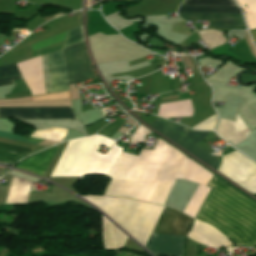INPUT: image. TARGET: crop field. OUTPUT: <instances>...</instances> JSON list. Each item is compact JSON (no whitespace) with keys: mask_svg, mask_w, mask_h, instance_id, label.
Returning <instances> with one entry per match:
<instances>
[{"mask_svg":"<svg viewBox=\"0 0 256 256\" xmlns=\"http://www.w3.org/2000/svg\"><path fill=\"white\" fill-rule=\"evenodd\" d=\"M208 186L212 189L196 219L215 227L235 246L256 245V204L214 176Z\"/></svg>","mask_w":256,"mask_h":256,"instance_id":"obj_1","label":"crop field"},{"mask_svg":"<svg viewBox=\"0 0 256 256\" xmlns=\"http://www.w3.org/2000/svg\"><path fill=\"white\" fill-rule=\"evenodd\" d=\"M188 160L158 138L154 151H140L126 180L147 181L137 199L150 202L159 181L184 178Z\"/></svg>","mask_w":256,"mask_h":256,"instance_id":"obj_2","label":"crop field"},{"mask_svg":"<svg viewBox=\"0 0 256 256\" xmlns=\"http://www.w3.org/2000/svg\"><path fill=\"white\" fill-rule=\"evenodd\" d=\"M113 142L102 136L69 141L51 177L83 176L87 173L106 174L123 149L115 142L104 155L95 150L102 145L108 148Z\"/></svg>","mask_w":256,"mask_h":256,"instance_id":"obj_3","label":"crop field"},{"mask_svg":"<svg viewBox=\"0 0 256 256\" xmlns=\"http://www.w3.org/2000/svg\"><path fill=\"white\" fill-rule=\"evenodd\" d=\"M108 214L119 226L145 245L163 207L130 199L81 196Z\"/></svg>","mask_w":256,"mask_h":256,"instance_id":"obj_4","label":"crop field"},{"mask_svg":"<svg viewBox=\"0 0 256 256\" xmlns=\"http://www.w3.org/2000/svg\"><path fill=\"white\" fill-rule=\"evenodd\" d=\"M69 84L95 79L84 43L63 49ZM63 51L42 55L46 93L69 90Z\"/></svg>","mask_w":256,"mask_h":256,"instance_id":"obj_5","label":"crop field"},{"mask_svg":"<svg viewBox=\"0 0 256 256\" xmlns=\"http://www.w3.org/2000/svg\"><path fill=\"white\" fill-rule=\"evenodd\" d=\"M150 126L216 170L220 161L196 146L209 132L192 131L190 128L157 118Z\"/></svg>","mask_w":256,"mask_h":256,"instance_id":"obj_6","label":"crop field"},{"mask_svg":"<svg viewBox=\"0 0 256 256\" xmlns=\"http://www.w3.org/2000/svg\"><path fill=\"white\" fill-rule=\"evenodd\" d=\"M77 119L72 107L0 108V118Z\"/></svg>","mask_w":256,"mask_h":256,"instance_id":"obj_7","label":"crop field"},{"mask_svg":"<svg viewBox=\"0 0 256 256\" xmlns=\"http://www.w3.org/2000/svg\"><path fill=\"white\" fill-rule=\"evenodd\" d=\"M192 218L164 207L152 233L185 236Z\"/></svg>","mask_w":256,"mask_h":256,"instance_id":"obj_8","label":"crop field"},{"mask_svg":"<svg viewBox=\"0 0 256 256\" xmlns=\"http://www.w3.org/2000/svg\"><path fill=\"white\" fill-rule=\"evenodd\" d=\"M184 237L151 234L145 247L154 254L181 256Z\"/></svg>","mask_w":256,"mask_h":256,"instance_id":"obj_9","label":"crop field"},{"mask_svg":"<svg viewBox=\"0 0 256 256\" xmlns=\"http://www.w3.org/2000/svg\"><path fill=\"white\" fill-rule=\"evenodd\" d=\"M186 21L209 20L210 27L232 29L245 27L241 15L178 13Z\"/></svg>","mask_w":256,"mask_h":256,"instance_id":"obj_10","label":"crop field"},{"mask_svg":"<svg viewBox=\"0 0 256 256\" xmlns=\"http://www.w3.org/2000/svg\"><path fill=\"white\" fill-rule=\"evenodd\" d=\"M57 147L58 146L22 161L16 166V168L34 173L42 177Z\"/></svg>","mask_w":256,"mask_h":256,"instance_id":"obj_11","label":"crop field"},{"mask_svg":"<svg viewBox=\"0 0 256 256\" xmlns=\"http://www.w3.org/2000/svg\"><path fill=\"white\" fill-rule=\"evenodd\" d=\"M102 236L104 247L116 249L122 247L127 239L126 235L121 233L113 224L102 216Z\"/></svg>","mask_w":256,"mask_h":256,"instance_id":"obj_12","label":"crop field"},{"mask_svg":"<svg viewBox=\"0 0 256 256\" xmlns=\"http://www.w3.org/2000/svg\"><path fill=\"white\" fill-rule=\"evenodd\" d=\"M178 12L241 13L238 7L180 6Z\"/></svg>","mask_w":256,"mask_h":256,"instance_id":"obj_13","label":"crop field"},{"mask_svg":"<svg viewBox=\"0 0 256 256\" xmlns=\"http://www.w3.org/2000/svg\"><path fill=\"white\" fill-rule=\"evenodd\" d=\"M236 2L245 12L249 29H256V0H236Z\"/></svg>","mask_w":256,"mask_h":256,"instance_id":"obj_14","label":"crop field"},{"mask_svg":"<svg viewBox=\"0 0 256 256\" xmlns=\"http://www.w3.org/2000/svg\"><path fill=\"white\" fill-rule=\"evenodd\" d=\"M201 39L211 48H215L225 42V37L221 32L208 29L205 31L198 32Z\"/></svg>","mask_w":256,"mask_h":256,"instance_id":"obj_15","label":"crop field"},{"mask_svg":"<svg viewBox=\"0 0 256 256\" xmlns=\"http://www.w3.org/2000/svg\"><path fill=\"white\" fill-rule=\"evenodd\" d=\"M66 131L67 130L65 129L50 128V129L36 130L31 136L61 142Z\"/></svg>","mask_w":256,"mask_h":256,"instance_id":"obj_16","label":"crop field"},{"mask_svg":"<svg viewBox=\"0 0 256 256\" xmlns=\"http://www.w3.org/2000/svg\"><path fill=\"white\" fill-rule=\"evenodd\" d=\"M182 5L236 6L233 0H184Z\"/></svg>","mask_w":256,"mask_h":256,"instance_id":"obj_17","label":"crop field"},{"mask_svg":"<svg viewBox=\"0 0 256 256\" xmlns=\"http://www.w3.org/2000/svg\"><path fill=\"white\" fill-rule=\"evenodd\" d=\"M82 40L83 39L81 35V30H80V27L78 26L76 28H73L67 31L63 47L81 42Z\"/></svg>","mask_w":256,"mask_h":256,"instance_id":"obj_18","label":"crop field"},{"mask_svg":"<svg viewBox=\"0 0 256 256\" xmlns=\"http://www.w3.org/2000/svg\"><path fill=\"white\" fill-rule=\"evenodd\" d=\"M24 155V153L1 149L0 148V161L12 163L18 157Z\"/></svg>","mask_w":256,"mask_h":256,"instance_id":"obj_19","label":"crop field"},{"mask_svg":"<svg viewBox=\"0 0 256 256\" xmlns=\"http://www.w3.org/2000/svg\"><path fill=\"white\" fill-rule=\"evenodd\" d=\"M151 133L147 128L143 127L142 125H139L134 134L131 137L130 142L132 143H140L143 142L144 135Z\"/></svg>","mask_w":256,"mask_h":256,"instance_id":"obj_20","label":"crop field"},{"mask_svg":"<svg viewBox=\"0 0 256 256\" xmlns=\"http://www.w3.org/2000/svg\"><path fill=\"white\" fill-rule=\"evenodd\" d=\"M20 74L15 64L0 66V77L12 76Z\"/></svg>","mask_w":256,"mask_h":256,"instance_id":"obj_21","label":"crop field"},{"mask_svg":"<svg viewBox=\"0 0 256 256\" xmlns=\"http://www.w3.org/2000/svg\"><path fill=\"white\" fill-rule=\"evenodd\" d=\"M0 147L6 148V149H11V150H16V151H20V152H24V153L33 151V149L19 147V146L10 145V144H5V143H1V142H0Z\"/></svg>","mask_w":256,"mask_h":256,"instance_id":"obj_22","label":"crop field"},{"mask_svg":"<svg viewBox=\"0 0 256 256\" xmlns=\"http://www.w3.org/2000/svg\"><path fill=\"white\" fill-rule=\"evenodd\" d=\"M0 137L27 142L22 137L16 136V135L10 134V133L0 132ZM28 143H31V142H28ZM33 144H36V143H33Z\"/></svg>","mask_w":256,"mask_h":256,"instance_id":"obj_23","label":"crop field"},{"mask_svg":"<svg viewBox=\"0 0 256 256\" xmlns=\"http://www.w3.org/2000/svg\"><path fill=\"white\" fill-rule=\"evenodd\" d=\"M18 79H21V77L17 76V77L1 78L0 79V86L15 84L13 80H18Z\"/></svg>","mask_w":256,"mask_h":256,"instance_id":"obj_24","label":"crop field"},{"mask_svg":"<svg viewBox=\"0 0 256 256\" xmlns=\"http://www.w3.org/2000/svg\"><path fill=\"white\" fill-rule=\"evenodd\" d=\"M250 32H251V35H252V37H253L254 43H255V45H256V30H252V31H250Z\"/></svg>","mask_w":256,"mask_h":256,"instance_id":"obj_25","label":"crop field"},{"mask_svg":"<svg viewBox=\"0 0 256 256\" xmlns=\"http://www.w3.org/2000/svg\"><path fill=\"white\" fill-rule=\"evenodd\" d=\"M126 256H137L135 254H130V253H127Z\"/></svg>","mask_w":256,"mask_h":256,"instance_id":"obj_26","label":"crop field"},{"mask_svg":"<svg viewBox=\"0 0 256 256\" xmlns=\"http://www.w3.org/2000/svg\"><path fill=\"white\" fill-rule=\"evenodd\" d=\"M253 196H255V197H256V194H253Z\"/></svg>","mask_w":256,"mask_h":256,"instance_id":"obj_27","label":"crop field"}]
</instances>
